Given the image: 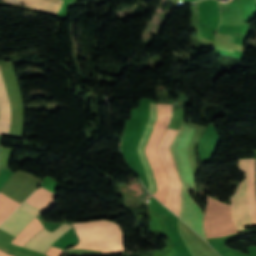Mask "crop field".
Segmentation results:
<instances>
[{"label": "crop field", "instance_id": "obj_11", "mask_svg": "<svg viewBox=\"0 0 256 256\" xmlns=\"http://www.w3.org/2000/svg\"><path fill=\"white\" fill-rule=\"evenodd\" d=\"M3 2L6 3H20V4H24L27 7H31L34 9H37L39 11H42L44 13H49V14H55L57 15L60 9V5L62 4V0H46L49 2H53L56 4H60V5H56L53 3H49L43 0H1Z\"/></svg>", "mask_w": 256, "mask_h": 256}, {"label": "crop field", "instance_id": "obj_5", "mask_svg": "<svg viewBox=\"0 0 256 256\" xmlns=\"http://www.w3.org/2000/svg\"><path fill=\"white\" fill-rule=\"evenodd\" d=\"M44 212L23 204L0 226V229L16 237L38 214Z\"/></svg>", "mask_w": 256, "mask_h": 256}, {"label": "crop field", "instance_id": "obj_4", "mask_svg": "<svg viewBox=\"0 0 256 256\" xmlns=\"http://www.w3.org/2000/svg\"><path fill=\"white\" fill-rule=\"evenodd\" d=\"M204 226L207 237L238 233L230 217V207L210 197H208Z\"/></svg>", "mask_w": 256, "mask_h": 256}, {"label": "crop field", "instance_id": "obj_2", "mask_svg": "<svg viewBox=\"0 0 256 256\" xmlns=\"http://www.w3.org/2000/svg\"><path fill=\"white\" fill-rule=\"evenodd\" d=\"M80 237L74 248L102 250L103 253L122 251L123 235L117 224L95 221L73 224Z\"/></svg>", "mask_w": 256, "mask_h": 256}, {"label": "crop field", "instance_id": "obj_14", "mask_svg": "<svg viewBox=\"0 0 256 256\" xmlns=\"http://www.w3.org/2000/svg\"><path fill=\"white\" fill-rule=\"evenodd\" d=\"M0 256H11V255L5 254V253H3V252L0 250Z\"/></svg>", "mask_w": 256, "mask_h": 256}, {"label": "crop field", "instance_id": "obj_3", "mask_svg": "<svg viewBox=\"0 0 256 256\" xmlns=\"http://www.w3.org/2000/svg\"><path fill=\"white\" fill-rule=\"evenodd\" d=\"M241 172L246 173V198L248 217L251 225H256L255 205V159H239ZM245 198V179L240 183L234 196H231V216L237 230H243V226L250 225L247 217Z\"/></svg>", "mask_w": 256, "mask_h": 256}, {"label": "crop field", "instance_id": "obj_13", "mask_svg": "<svg viewBox=\"0 0 256 256\" xmlns=\"http://www.w3.org/2000/svg\"><path fill=\"white\" fill-rule=\"evenodd\" d=\"M63 253V250L57 249L55 247H51L49 251L46 253L48 256H61Z\"/></svg>", "mask_w": 256, "mask_h": 256}, {"label": "crop field", "instance_id": "obj_9", "mask_svg": "<svg viewBox=\"0 0 256 256\" xmlns=\"http://www.w3.org/2000/svg\"><path fill=\"white\" fill-rule=\"evenodd\" d=\"M58 195L44 189L39 188L36 190L28 199H26L24 202L48 213L56 204L53 200Z\"/></svg>", "mask_w": 256, "mask_h": 256}, {"label": "crop field", "instance_id": "obj_7", "mask_svg": "<svg viewBox=\"0 0 256 256\" xmlns=\"http://www.w3.org/2000/svg\"><path fill=\"white\" fill-rule=\"evenodd\" d=\"M71 227L72 226L70 225L62 224L53 233H49L43 229L30 240H28L24 247L45 253L48 247Z\"/></svg>", "mask_w": 256, "mask_h": 256}, {"label": "crop field", "instance_id": "obj_6", "mask_svg": "<svg viewBox=\"0 0 256 256\" xmlns=\"http://www.w3.org/2000/svg\"><path fill=\"white\" fill-rule=\"evenodd\" d=\"M156 119H157V105L151 103L150 104V109H149L147 124H146L143 136L141 138V141H140V144H139V147H138V150H139L142 162H143V166H144L147 178H148L150 191L152 192L153 195L157 190V185H156L155 177L152 173L150 164H149V162L146 158L144 147H145L146 142H147V140H148V138H149V136L152 132L153 125H154Z\"/></svg>", "mask_w": 256, "mask_h": 256}, {"label": "crop field", "instance_id": "obj_15", "mask_svg": "<svg viewBox=\"0 0 256 256\" xmlns=\"http://www.w3.org/2000/svg\"><path fill=\"white\" fill-rule=\"evenodd\" d=\"M173 4L177 5L178 4V0H170Z\"/></svg>", "mask_w": 256, "mask_h": 256}, {"label": "crop field", "instance_id": "obj_10", "mask_svg": "<svg viewBox=\"0 0 256 256\" xmlns=\"http://www.w3.org/2000/svg\"><path fill=\"white\" fill-rule=\"evenodd\" d=\"M11 124L10 103L0 72V134L9 132Z\"/></svg>", "mask_w": 256, "mask_h": 256}, {"label": "crop field", "instance_id": "obj_1", "mask_svg": "<svg viewBox=\"0 0 256 256\" xmlns=\"http://www.w3.org/2000/svg\"><path fill=\"white\" fill-rule=\"evenodd\" d=\"M192 131V129L181 126L170 147V152L177 168L182 187L187 193L194 188V180L185 155L186 143ZM182 187L181 212L179 218L205 239L201 225L202 211L196 206Z\"/></svg>", "mask_w": 256, "mask_h": 256}, {"label": "crop field", "instance_id": "obj_12", "mask_svg": "<svg viewBox=\"0 0 256 256\" xmlns=\"http://www.w3.org/2000/svg\"><path fill=\"white\" fill-rule=\"evenodd\" d=\"M43 225L36 218L12 241V243L23 246L24 243L43 229Z\"/></svg>", "mask_w": 256, "mask_h": 256}, {"label": "crop field", "instance_id": "obj_8", "mask_svg": "<svg viewBox=\"0 0 256 256\" xmlns=\"http://www.w3.org/2000/svg\"><path fill=\"white\" fill-rule=\"evenodd\" d=\"M14 172L11 169L0 170V190L7 184ZM20 205V203L10 199L0 193V224Z\"/></svg>", "mask_w": 256, "mask_h": 256}]
</instances>
